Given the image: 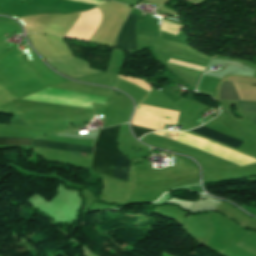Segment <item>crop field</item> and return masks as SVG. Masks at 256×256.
<instances>
[{
    "label": "crop field",
    "mask_w": 256,
    "mask_h": 256,
    "mask_svg": "<svg viewBox=\"0 0 256 256\" xmlns=\"http://www.w3.org/2000/svg\"><path fill=\"white\" fill-rule=\"evenodd\" d=\"M32 139L23 138H0L2 145H31Z\"/></svg>",
    "instance_id": "obj_7"
},
{
    "label": "crop field",
    "mask_w": 256,
    "mask_h": 256,
    "mask_svg": "<svg viewBox=\"0 0 256 256\" xmlns=\"http://www.w3.org/2000/svg\"><path fill=\"white\" fill-rule=\"evenodd\" d=\"M120 126L100 131L95 141L92 171L114 177L119 152L116 141ZM130 162L131 160L119 152L116 178L128 181Z\"/></svg>",
    "instance_id": "obj_1"
},
{
    "label": "crop field",
    "mask_w": 256,
    "mask_h": 256,
    "mask_svg": "<svg viewBox=\"0 0 256 256\" xmlns=\"http://www.w3.org/2000/svg\"><path fill=\"white\" fill-rule=\"evenodd\" d=\"M182 27V26H181Z\"/></svg>",
    "instance_id": "obj_9"
},
{
    "label": "crop field",
    "mask_w": 256,
    "mask_h": 256,
    "mask_svg": "<svg viewBox=\"0 0 256 256\" xmlns=\"http://www.w3.org/2000/svg\"><path fill=\"white\" fill-rule=\"evenodd\" d=\"M192 131L197 132L199 134H202L204 136H207L209 138H212V139H214L216 141H219L221 143H224V144L229 145L231 147H234L236 149H238L240 147V145L242 144V142H240V141H237V140H235L233 138L225 136V135H223L221 133L213 131V130H211L209 128H206L204 126L196 128V129H194Z\"/></svg>",
    "instance_id": "obj_3"
},
{
    "label": "crop field",
    "mask_w": 256,
    "mask_h": 256,
    "mask_svg": "<svg viewBox=\"0 0 256 256\" xmlns=\"http://www.w3.org/2000/svg\"><path fill=\"white\" fill-rule=\"evenodd\" d=\"M33 145L47 147V148H54V149H65V150H71V151L92 153V147H89V146L72 145V144L47 142V141H39V140H33Z\"/></svg>",
    "instance_id": "obj_4"
},
{
    "label": "crop field",
    "mask_w": 256,
    "mask_h": 256,
    "mask_svg": "<svg viewBox=\"0 0 256 256\" xmlns=\"http://www.w3.org/2000/svg\"><path fill=\"white\" fill-rule=\"evenodd\" d=\"M220 99L240 100L232 83L223 82L220 89Z\"/></svg>",
    "instance_id": "obj_5"
},
{
    "label": "crop field",
    "mask_w": 256,
    "mask_h": 256,
    "mask_svg": "<svg viewBox=\"0 0 256 256\" xmlns=\"http://www.w3.org/2000/svg\"><path fill=\"white\" fill-rule=\"evenodd\" d=\"M136 16L129 15L118 36L115 47L125 51L136 27ZM137 50L136 29L126 51Z\"/></svg>",
    "instance_id": "obj_2"
},
{
    "label": "crop field",
    "mask_w": 256,
    "mask_h": 256,
    "mask_svg": "<svg viewBox=\"0 0 256 256\" xmlns=\"http://www.w3.org/2000/svg\"><path fill=\"white\" fill-rule=\"evenodd\" d=\"M131 128H132L134 134L138 138L141 137L143 134L154 131V130H150V129H146V128H142V127H138V126H134V125H132Z\"/></svg>",
    "instance_id": "obj_8"
},
{
    "label": "crop field",
    "mask_w": 256,
    "mask_h": 256,
    "mask_svg": "<svg viewBox=\"0 0 256 256\" xmlns=\"http://www.w3.org/2000/svg\"><path fill=\"white\" fill-rule=\"evenodd\" d=\"M238 103L247 119L256 124V102L238 101Z\"/></svg>",
    "instance_id": "obj_6"
}]
</instances>
